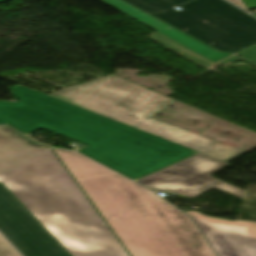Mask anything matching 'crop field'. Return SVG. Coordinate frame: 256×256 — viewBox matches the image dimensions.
Here are the masks:
<instances>
[{"label": "crop field", "mask_w": 256, "mask_h": 256, "mask_svg": "<svg viewBox=\"0 0 256 256\" xmlns=\"http://www.w3.org/2000/svg\"><path fill=\"white\" fill-rule=\"evenodd\" d=\"M238 55L243 56L249 60L256 62V46H253L245 51L238 53Z\"/></svg>", "instance_id": "13"}, {"label": "crop field", "mask_w": 256, "mask_h": 256, "mask_svg": "<svg viewBox=\"0 0 256 256\" xmlns=\"http://www.w3.org/2000/svg\"><path fill=\"white\" fill-rule=\"evenodd\" d=\"M44 147L33 143L29 138L9 126H0V148Z\"/></svg>", "instance_id": "11"}, {"label": "crop field", "mask_w": 256, "mask_h": 256, "mask_svg": "<svg viewBox=\"0 0 256 256\" xmlns=\"http://www.w3.org/2000/svg\"><path fill=\"white\" fill-rule=\"evenodd\" d=\"M250 10L256 8V0H243Z\"/></svg>", "instance_id": "15"}, {"label": "crop field", "mask_w": 256, "mask_h": 256, "mask_svg": "<svg viewBox=\"0 0 256 256\" xmlns=\"http://www.w3.org/2000/svg\"><path fill=\"white\" fill-rule=\"evenodd\" d=\"M16 103L0 102V124L25 135L42 127L89 147L78 152L135 179L197 152L37 93L13 87Z\"/></svg>", "instance_id": "1"}, {"label": "crop field", "mask_w": 256, "mask_h": 256, "mask_svg": "<svg viewBox=\"0 0 256 256\" xmlns=\"http://www.w3.org/2000/svg\"><path fill=\"white\" fill-rule=\"evenodd\" d=\"M1 1H6V0H0V2H1Z\"/></svg>", "instance_id": "16"}, {"label": "crop field", "mask_w": 256, "mask_h": 256, "mask_svg": "<svg viewBox=\"0 0 256 256\" xmlns=\"http://www.w3.org/2000/svg\"><path fill=\"white\" fill-rule=\"evenodd\" d=\"M118 11L140 21L141 23L155 29L166 37L178 42L179 44L189 48L190 50L202 55L203 57L217 62L231 54L216 52L207 46L199 43L198 41L176 31L175 29L167 26L166 24L158 21L157 19L149 16L148 14L134 8L133 6L121 0H101Z\"/></svg>", "instance_id": "9"}, {"label": "crop field", "mask_w": 256, "mask_h": 256, "mask_svg": "<svg viewBox=\"0 0 256 256\" xmlns=\"http://www.w3.org/2000/svg\"><path fill=\"white\" fill-rule=\"evenodd\" d=\"M227 1L233 3L234 5L240 7L241 9L249 12L248 9L245 7V5L241 2V0H227Z\"/></svg>", "instance_id": "14"}, {"label": "crop field", "mask_w": 256, "mask_h": 256, "mask_svg": "<svg viewBox=\"0 0 256 256\" xmlns=\"http://www.w3.org/2000/svg\"><path fill=\"white\" fill-rule=\"evenodd\" d=\"M0 231L24 256H70L2 183Z\"/></svg>", "instance_id": "7"}, {"label": "crop field", "mask_w": 256, "mask_h": 256, "mask_svg": "<svg viewBox=\"0 0 256 256\" xmlns=\"http://www.w3.org/2000/svg\"><path fill=\"white\" fill-rule=\"evenodd\" d=\"M53 150L131 256H215L191 221L154 193L77 153Z\"/></svg>", "instance_id": "2"}, {"label": "crop field", "mask_w": 256, "mask_h": 256, "mask_svg": "<svg viewBox=\"0 0 256 256\" xmlns=\"http://www.w3.org/2000/svg\"><path fill=\"white\" fill-rule=\"evenodd\" d=\"M0 182L72 256H128L51 149L0 151Z\"/></svg>", "instance_id": "3"}, {"label": "crop field", "mask_w": 256, "mask_h": 256, "mask_svg": "<svg viewBox=\"0 0 256 256\" xmlns=\"http://www.w3.org/2000/svg\"><path fill=\"white\" fill-rule=\"evenodd\" d=\"M125 1L220 51L256 44V20L223 0Z\"/></svg>", "instance_id": "5"}, {"label": "crop field", "mask_w": 256, "mask_h": 256, "mask_svg": "<svg viewBox=\"0 0 256 256\" xmlns=\"http://www.w3.org/2000/svg\"><path fill=\"white\" fill-rule=\"evenodd\" d=\"M186 214L194 219L219 256H256L255 222H233L195 211Z\"/></svg>", "instance_id": "8"}, {"label": "crop field", "mask_w": 256, "mask_h": 256, "mask_svg": "<svg viewBox=\"0 0 256 256\" xmlns=\"http://www.w3.org/2000/svg\"><path fill=\"white\" fill-rule=\"evenodd\" d=\"M228 165L226 162L198 153L136 182L156 192L174 193L190 198L209 188H217L242 198L244 190L216 180L210 175Z\"/></svg>", "instance_id": "6"}, {"label": "crop field", "mask_w": 256, "mask_h": 256, "mask_svg": "<svg viewBox=\"0 0 256 256\" xmlns=\"http://www.w3.org/2000/svg\"><path fill=\"white\" fill-rule=\"evenodd\" d=\"M50 96L226 162L246 152L149 118L175 100L114 75Z\"/></svg>", "instance_id": "4"}, {"label": "crop field", "mask_w": 256, "mask_h": 256, "mask_svg": "<svg viewBox=\"0 0 256 256\" xmlns=\"http://www.w3.org/2000/svg\"><path fill=\"white\" fill-rule=\"evenodd\" d=\"M148 38L152 39L153 41L157 42L158 44L164 46L165 48L175 52L176 54L200 65L201 67L209 70L215 66H217L218 64H224V63H231V62H234V61H237V60H242L244 62H247L245 61L244 59L238 57V56H235V55H231L217 63H213L203 57H201L200 55L190 51L189 49L177 44L176 42L166 38L165 36L157 33V34H154V35H150V36H147ZM249 63V62H247ZM249 64H252V63H249ZM252 65H255L256 64H252Z\"/></svg>", "instance_id": "10"}, {"label": "crop field", "mask_w": 256, "mask_h": 256, "mask_svg": "<svg viewBox=\"0 0 256 256\" xmlns=\"http://www.w3.org/2000/svg\"><path fill=\"white\" fill-rule=\"evenodd\" d=\"M0 256H20L11 244L0 234Z\"/></svg>", "instance_id": "12"}]
</instances>
